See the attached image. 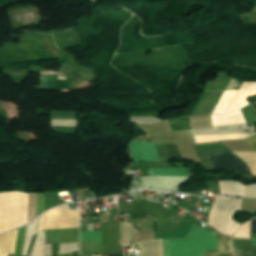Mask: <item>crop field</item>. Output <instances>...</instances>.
<instances>
[{"label": "crop field", "mask_w": 256, "mask_h": 256, "mask_svg": "<svg viewBox=\"0 0 256 256\" xmlns=\"http://www.w3.org/2000/svg\"><path fill=\"white\" fill-rule=\"evenodd\" d=\"M80 211L69 206L53 209L41 216L38 230L79 227ZM79 228L45 231L46 244L79 242Z\"/></svg>", "instance_id": "obj_1"}, {"label": "crop field", "mask_w": 256, "mask_h": 256, "mask_svg": "<svg viewBox=\"0 0 256 256\" xmlns=\"http://www.w3.org/2000/svg\"><path fill=\"white\" fill-rule=\"evenodd\" d=\"M164 256H205L204 250L218 249L216 232L193 225L185 238L163 239Z\"/></svg>", "instance_id": "obj_2"}, {"label": "crop field", "mask_w": 256, "mask_h": 256, "mask_svg": "<svg viewBox=\"0 0 256 256\" xmlns=\"http://www.w3.org/2000/svg\"><path fill=\"white\" fill-rule=\"evenodd\" d=\"M213 169H226L229 172H240L252 177L244 161L233 152L207 156Z\"/></svg>", "instance_id": "obj_3"}, {"label": "crop field", "mask_w": 256, "mask_h": 256, "mask_svg": "<svg viewBox=\"0 0 256 256\" xmlns=\"http://www.w3.org/2000/svg\"><path fill=\"white\" fill-rule=\"evenodd\" d=\"M129 146L135 162L159 161L155 144L130 141Z\"/></svg>", "instance_id": "obj_4"}, {"label": "crop field", "mask_w": 256, "mask_h": 256, "mask_svg": "<svg viewBox=\"0 0 256 256\" xmlns=\"http://www.w3.org/2000/svg\"><path fill=\"white\" fill-rule=\"evenodd\" d=\"M219 250L206 251V256H234L231 247V238L217 232Z\"/></svg>", "instance_id": "obj_5"}, {"label": "crop field", "mask_w": 256, "mask_h": 256, "mask_svg": "<svg viewBox=\"0 0 256 256\" xmlns=\"http://www.w3.org/2000/svg\"><path fill=\"white\" fill-rule=\"evenodd\" d=\"M252 135L244 133H230V134H206V135H195L196 143L198 142H212L220 140H232L249 137Z\"/></svg>", "instance_id": "obj_6"}, {"label": "crop field", "mask_w": 256, "mask_h": 256, "mask_svg": "<svg viewBox=\"0 0 256 256\" xmlns=\"http://www.w3.org/2000/svg\"><path fill=\"white\" fill-rule=\"evenodd\" d=\"M212 119L214 126L246 123L240 110L224 116L212 115Z\"/></svg>", "instance_id": "obj_7"}, {"label": "crop field", "mask_w": 256, "mask_h": 256, "mask_svg": "<svg viewBox=\"0 0 256 256\" xmlns=\"http://www.w3.org/2000/svg\"><path fill=\"white\" fill-rule=\"evenodd\" d=\"M255 94H256V90L238 91L224 113L230 112L232 110L241 108L249 104V102H247L245 99L248 96L255 95Z\"/></svg>", "instance_id": "obj_8"}, {"label": "crop field", "mask_w": 256, "mask_h": 256, "mask_svg": "<svg viewBox=\"0 0 256 256\" xmlns=\"http://www.w3.org/2000/svg\"><path fill=\"white\" fill-rule=\"evenodd\" d=\"M156 146H157L160 161H166L174 157L181 158L175 144L156 143Z\"/></svg>", "instance_id": "obj_9"}, {"label": "crop field", "mask_w": 256, "mask_h": 256, "mask_svg": "<svg viewBox=\"0 0 256 256\" xmlns=\"http://www.w3.org/2000/svg\"><path fill=\"white\" fill-rule=\"evenodd\" d=\"M237 91H224L212 114H223Z\"/></svg>", "instance_id": "obj_10"}, {"label": "crop field", "mask_w": 256, "mask_h": 256, "mask_svg": "<svg viewBox=\"0 0 256 256\" xmlns=\"http://www.w3.org/2000/svg\"><path fill=\"white\" fill-rule=\"evenodd\" d=\"M151 176L165 175V176H189L187 167L179 169H150Z\"/></svg>", "instance_id": "obj_11"}, {"label": "crop field", "mask_w": 256, "mask_h": 256, "mask_svg": "<svg viewBox=\"0 0 256 256\" xmlns=\"http://www.w3.org/2000/svg\"><path fill=\"white\" fill-rule=\"evenodd\" d=\"M101 242H81V256L100 255Z\"/></svg>", "instance_id": "obj_12"}, {"label": "crop field", "mask_w": 256, "mask_h": 256, "mask_svg": "<svg viewBox=\"0 0 256 256\" xmlns=\"http://www.w3.org/2000/svg\"><path fill=\"white\" fill-rule=\"evenodd\" d=\"M81 241H101V232L100 231L81 232Z\"/></svg>", "instance_id": "obj_13"}, {"label": "crop field", "mask_w": 256, "mask_h": 256, "mask_svg": "<svg viewBox=\"0 0 256 256\" xmlns=\"http://www.w3.org/2000/svg\"><path fill=\"white\" fill-rule=\"evenodd\" d=\"M237 256H256V247L235 248Z\"/></svg>", "instance_id": "obj_14"}, {"label": "crop field", "mask_w": 256, "mask_h": 256, "mask_svg": "<svg viewBox=\"0 0 256 256\" xmlns=\"http://www.w3.org/2000/svg\"><path fill=\"white\" fill-rule=\"evenodd\" d=\"M24 229H25V226L19 229L15 255H9V256H21L23 237H24Z\"/></svg>", "instance_id": "obj_15"}, {"label": "crop field", "mask_w": 256, "mask_h": 256, "mask_svg": "<svg viewBox=\"0 0 256 256\" xmlns=\"http://www.w3.org/2000/svg\"><path fill=\"white\" fill-rule=\"evenodd\" d=\"M230 150L226 147L222 148H215V149H207V150H200L197 151L199 156H205V155H210V154H216V153H223V152H229Z\"/></svg>", "instance_id": "obj_16"}, {"label": "crop field", "mask_w": 256, "mask_h": 256, "mask_svg": "<svg viewBox=\"0 0 256 256\" xmlns=\"http://www.w3.org/2000/svg\"><path fill=\"white\" fill-rule=\"evenodd\" d=\"M44 212V193H38V209L37 215Z\"/></svg>", "instance_id": "obj_17"}, {"label": "crop field", "mask_w": 256, "mask_h": 256, "mask_svg": "<svg viewBox=\"0 0 256 256\" xmlns=\"http://www.w3.org/2000/svg\"><path fill=\"white\" fill-rule=\"evenodd\" d=\"M244 141L256 150V136L244 139Z\"/></svg>", "instance_id": "obj_18"}, {"label": "crop field", "mask_w": 256, "mask_h": 256, "mask_svg": "<svg viewBox=\"0 0 256 256\" xmlns=\"http://www.w3.org/2000/svg\"><path fill=\"white\" fill-rule=\"evenodd\" d=\"M240 89H256V83H244Z\"/></svg>", "instance_id": "obj_19"}, {"label": "crop field", "mask_w": 256, "mask_h": 256, "mask_svg": "<svg viewBox=\"0 0 256 256\" xmlns=\"http://www.w3.org/2000/svg\"><path fill=\"white\" fill-rule=\"evenodd\" d=\"M256 232V219L251 221V233Z\"/></svg>", "instance_id": "obj_20"}, {"label": "crop field", "mask_w": 256, "mask_h": 256, "mask_svg": "<svg viewBox=\"0 0 256 256\" xmlns=\"http://www.w3.org/2000/svg\"><path fill=\"white\" fill-rule=\"evenodd\" d=\"M252 246H256V240H252Z\"/></svg>", "instance_id": "obj_21"}, {"label": "crop field", "mask_w": 256, "mask_h": 256, "mask_svg": "<svg viewBox=\"0 0 256 256\" xmlns=\"http://www.w3.org/2000/svg\"><path fill=\"white\" fill-rule=\"evenodd\" d=\"M108 256H121V255H119V254H113V255H108Z\"/></svg>", "instance_id": "obj_22"}, {"label": "crop field", "mask_w": 256, "mask_h": 256, "mask_svg": "<svg viewBox=\"0 0 256 256\" xmlns=\"http://www.w3.org/2000/svg\"><path fill=\"white\" fill-rule=\"evenodd\" d=\"M248 180H253V181H256V179H248Z\"/></svg>", "instance_id": "obj_23"}, {"label": "crop field", "mask_w": 256, "mask_h": 256, "mask_svg": "<svg viewBox=\"0 0 256 256\" xmlns=\"http://www.w3.org/2000/svg\"><path fill=\"white\" fill-rule=\"evenodd\" d=\"M243 178H249V177H246V176L243 175Z\"/></svg>", "instance_id": "obj_24"}, {"label": "crop field", "mask_w": 256, "mask_h": 256, "mask_svg": "<svg viewBox=\"0 0 256 256\" xmlns=\"http://www.w3.org/2000/svg\"><path fill=\"white\" fill-rule=\"evenodd\" d=\"M96 256H99V255H96Z\"/></svg>", "instance_id": "obj_25"}]
</instances>
